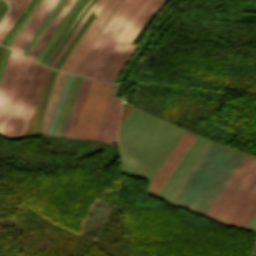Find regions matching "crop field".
Returning <instances> with one entry per match:
<instances>
[{
    "label": "crop field",
    "mask_w": 256,
    "mask_h": 256,
    "mask_svg": "<svg viewBox=\"0 0 256 256\" xmlns=\"http://www.w3.org/2000/svg\"><path fill=\"white\" fill-rule=\"evenodd\" d=\"M182 133L183 130L132 108L121 123V172L150 180Z\"/></svg>",
    "instance_id": "crop-field-1"
},
{
    "label": "crop field",
    "mask_w": 256,
    "mask_h": 256,
    "mask_svg": "<svg viewBox=\"0 0 256 256\" xmlns=\"http://www.w3.org/2000/svg\"><path fill=\"white\" fill-rule=\"evenodd\" d=\"M83 1H84V0H83ZM81 4H82V3H81ZM81 4H80V5H81ZM69 20H70V19H69ZM68 22H69V21H68ZM68 22H67V23H68ZM67 23H66V25H67ZM66 25H65V26H66ZM65 26H64V28H65ZM64 28L62 29V31L64 30ZM62 31L60 32V34L62 33ZM60 34L58 35V37L60 36ZM58 37H57V38H58ZM57 38H56V40H57ZM56 40H55V41H56ZM55 41L53 42V44L55 43ZM53 44H52V45H53ZM52 45H51V47H52ZM51 47H50V48H51ZM50 48H49V50H50ZM49 50H48V51H49ZM48 51H47V53H48ZM47 53H46V54H47ZM46 54H45V56H46ZM45 56H44V57H45ZM44 57H43V59H44ZM43 59H42V60H43ZM42 60H41V61H42ZM40 63H41V62H40Z\"/></svg>",
    "instance_id": "crop-field-32"
},
{
    "label": "crop field",
    "mask_w": 256,
    "mask_h": 256,
    "mask_svg": "<svg viewBox=\"0 0 256 256\" xmlns=\"http://www.w3.org/2000/svg\"><path fill=\"white\" fill-rule=\"evenodd\" d=\"M112 85L93 80L73 137L93 139Z\"/></svg>",
    "instance_id": "crop-field-5"
},
{
    "label": "crop field",
    "mask_w": 256,
    "mask_h": 256,
    "mask_svg": "<svg viewBox=\"0 0 256 256\" xmlns=\"http://www.w3.org/2000/svg\"><path fill=\"white\" fill-rule=\"evenodd\" d=\"M160 2V0H150V2L135 19L134 23L130 26L127 33L115 47L113 52L110 54L102 68L95 76L96 78L111 82L132 50L135 48V46L129 45V43L132 41L144 21L149 17V15L154 11Z\"/></svg>",
    "instance_id": "crop-field-7"
},
{
    "label": "crop field",
    "mask_w": 256,
    "mask_h": 256,
    "mask_svg": "<svg viewBox=\"0 0 256 256\" xmlns=\"http://www.w3.org/2000/svg\"><path fill=\"white\" fill-rule=\"evenodd\" d=\"M30 0H17L0 23V41L9 31Z\"/></svg>",
    "instance_id": "crop-field-17"
},
{
    "label": "crop field",
    "mask_w": 256,
    "mask_h": 256,
    "mask_svg": "<svg viewBox=\"0 0 256 256\" xmlns=\"http://www.w3.org/2000/svg\"><path fill=\"white\" fill-rule=\"evenodd\" d=\"M2 1H3V0L0 1V4L2 3ZM3 4H4V1H3V3L1 4V6H2ZM5 4H6V2H5ZM5 4L2 6V8L5 6ZM1 6H0V8H1ZM6 7H7V5L3 8V10H2V8L0 9V11L2 10V11L0 12V16H1L2 13L4 12V10L6 9Z\"/></svg>",
    "instance_id": "crop-field-31"
},
{
    "label": "crop field",
    "mask_w": 256,
    "mask_h": 256,
    "mask_svg": "<svg viewBox=\"0 0 256 256\" xmlns=\"http://www.w3.org/2000/svg\"><path fill=\"white\" fill-rule=\"evenodd\" d=\"M61 0H57V2L55 3V5L52 7V9L50 10V12L48 13V15L45 17V19L43 20V22L41 23V25L38 27V29L36 30V32L34 33V35L31 37V39L29 40V42L27 43V45L24 47V49L22 50L21 54H23V52L26 50V48L28 47V45L31 43V41L34 39V37L36 36V34L39 32V30L41 29V27L44 25V23L46 22V20L49 18V16L51 15V13L54 11V9L56 8V6L59 4Z\"/></svg>",
    "instance_id": "crop-field-26"
},
{
    "label": "crop field",
    "mask_w": 256,
    "mask_h": 256,
    "mask_svg": "<svg viewBox=\"0 0 256 256\" xmlns=\"http://www.w3.org/2000/svg\"><path fill=\"white\" fill-rule=\"evenodd\" d=\"M108 0H97L95 2V4L91 7V9L88 11V13L84 16V18L81 20V22L78 24L75 32L73 33V35L70 37V39L67 41V43L64 45V47L62 48L60 54L58 55V57L55 59V61L52 63L51 68H53V66L55 65V63L57 62V60L60 58V56L62 55V53L64 52V50L66 49V47L69 45V43L71 42L72 38L74 37V35L76 34L77 30L79 29V27L82 25V23L85 21V19L88 17V15L91 13L92 9L95 10L96 12V16L97 14L100 12V10L102 9V7L105 5V3Z\"/></svg>",
    "instance_id": "crop-field-20"
},
{
    "label": "crop field",
    "mask_w": 256,
    "mask_h": 256,
    "mask_svg": "<svg viewBox=\"0 0 256 256\" xmlns=\"http://www.w3.org/2000/svg\"><path fill=\"white\" fill-rule=\"evenodd\" d=\"M123 1L124 0H109L106 3L76 47L60 67V70L73 73Z\"/></svg>",
    "instance_id": "crop-field-8"
},
{
    "label": "crop field",
    "mask_w": 256,
    "mask_h": 256,
    "mask_svg": "<svg viewBox=\"0 0 256 256\" xmlns=\"http://www.w3.org/2000/svg\"><path fill=\"white\" fill-rule=\"evenodd\" d=\"M245 157L212 143L172 203L205 216Z\"/></svg>",
    "instance_id": "crop-field-2"
},
{
    "label": "crop field",
    "mask_w": 256,
    "mask_h": 256,
    "mask_svg": "<svg viewBox=\"0 0 256 256\" xmlns=\"http://www.w3.org/2000/svg\"><path fill=\"white\" fill-rule=\"evenodd\" d=\"M195 138L196 135L184 131L182 136L179 138L175 146L172 148L168 156L165 158L161 166L150 180L148 190L149 195L156 197Z\"/></svg>",
    "instance_id": "crop-field-10"
},
{
    "label": "crop field",
    "mask_w": 256,
    "mask_h": 256,
    "mask_svg": "<svg viewBox=\"0 0 256 256\" xmlns=\"http://www.w3.org/2000/svg\"><path fill=\"white\" fill-rule=\"evenodd\" d=\"M29 60L11 52L0 80V135L3 134Z\"/></svg>",
    "instance_id": "crop-field-6"
},
{
    "label": "crop field",
    "mask_w": 256,
    "mask_h": 256,
    "mask_svg": "<svg viewBox=\"0 0 256 256\" xmlns=\"http://www.w3.org/2000/svg\"><path fill=\"white\" fill-rule=\"evenodd\" d=\"M78 1V0H77ZM75 5V4H74ZM73 8V7H72ZM71 8V9H72ZM71 11V10H70ZM70 11L67 13V15L64 17V19L61 21V23H60V25L58 26V29H59V27L61 26V24L63 23V21L66 19V17L68 16V14L70 13Z\"/></svg>",
    "instance_id": "crop-field-33"
},
{
    "label": "crop field",
    "mask_w": 256,
    "mask_h": 256,
    "mask_svg": "<svg viewBox=\"0 0 256 256\" xmlns=\"http://www.w3.org/2000/svg\"><path fill=\"white\" fill-rule=\"evenodd\" d=\"M256 183V159L247 155L206 217L228 224Z\"/></svg>",
    "instance_id": "crop-field-4"
},
{
    "label": "crop field",
    "mask_w": 256,
    "mask_h": 256,
    "mask_svg": "<svg viewBox=\"0 0 256 256\" xmlns=\"http://www.w3.org/2000/svg\"><path fill=\"white\" fill-rule=\"evenodd\" d=\"M47 73L48 69L32 62L29 63L7 123L4 137L14 139L25 135Z\"/></svg>",
    "instance_id": "crop-field-3"
},
{
    "label": "crop field",
    "mask_w": 256,
    "mask_h": 256,
    "mask_svg": "<svg viewBox=\"0 0 256 256\" xmlns=\"http://www.w3.org/2000/svg\"><path fill=\"white\" fill-rule=\"evenodd\" d=\"M51 0H43L42 3L40 4V6L38 7V9L35 11V13L33 14V16L30 18V20L28 21V23L26 24V26L23 28V30L21 31V33L18 35V37L16 38V40L14 41V43L11 45L10 48H12L13 50L16 51V49L19 47V45L21 44V42L23 41V39L26 37V35L28 34V32L31 30V28L33 27V25L36 23V21L38 20V18L40 17V15L43 13V11L45 10V8L48 6V4L50 3Z\"/></svg>",
    "instance_id": "crop-field-18"
},
{
    "label": "crop field",
    "mask_w": 256,
    "mask_h": 256,
    "mask_svg": "<svg viewBox=\"0 0 256 256\" xmlns=\"http://www.w3.org/2000/svg\"><path fill=\"white\" fill-rule=\"evenodd\" d=\"M51 71H52V70H51ZM49 72H50V71H49ZM57 72H58V71H56V73H55L53 82H54V80H55V77H56ZM50 73H51V72H50ZM53 73H54V70L52 71V73H51V75H50V78H49V80H48V82H47V85H46L45 92H44V95H43V98H42V102H41V106H40L39 112L37 111V112H38V116H37V114H36V116H37V127H36V117H35L29 135L26 133L28 136L35 135V127H36V135H37V130H38V118H39V116H40V112H41L43 100H44V97H45V94H46V91H47V87H48L49 81H50V79H51ZM48 74H49V73H48ZM47 77H48V76H47ZM46 80H47V79H46ZM45 82H46V81H45ZM51 82H52V81H51ZM53 82H52V85H53ZM44 85H45V84H44ZM50 85H51V84H50ZM52 85H51V87H52ZM43 88H44V87H43ZM49 88H50V87H49ZM50 90H51V88H50ZM42 91H43V89H42ZM49 92H50V91H49ZM41 94H42V92H41ZM48 95H49V94H48ZM40 97H41V95H40ZM40 97H39V100H40ZM45 98H46V97H45ZM47 98H48V96H47ZM39 100H38V102H39ZM46 100H47V99H46ZM44 101H45V100H44ZM45 104H46V102H45ZM37 105H38V103H37ZM36 108H37V106H36ZM44 108H45V106H44ZM35 111H36V109H35ZM35 111H34V114H35ZM43 113H44V109H43ZM43 113H42V116H41L40 135H41V127H42V117H43ZM34 114H33V117H34ZM33 117H32V119H33ZM31 122H32V120H31ZM31 122H30V124H31ZM29 127H30V125H29ZM28 129H29V128H28ZM27 132H28V131H27ZM25 137H26V136H25Z\"/></svg>",
    "instance_id": "crop-field-21"
},
{
    "label": "crop field",
    "mask_w": 256,
    "mask_h": 256,
    "mask_svg": "<svg viewBox=\"0 0 256 256\" xmlns=\"http://www.w3.org/2000/svg\"><path fill=\"white\" fill-rule=\"evenodd\" d=\"M56 2V0H52V2L49 4V6L47 7V9L44 11V13L42 14V16L40 17V19L37 21V23L35 24V26L32 28V30L30 31V33L28 34V36L25 38V40L23 41V43L21 44V46L18 48L17 52L20 53V51L23 49V47L25 46V44L27 43V41L30 39V37L32 36V34L34 33V31L37 29V27L39 26V24L41 23V21L44 19V17L46 16V14L49 12V10L51 9V7L53 6V4Z\"/></svg>",
    "instance_id": "crop-field-24"
},
{
    "label": "crop field",
    "mask_w": 256,
    "mask_h": 256,
    "mask_svg": "<svg viewBox=\"0 0 256 256\" xmlns=\"http://www.w3.org/2000/svg\"><path fill=\"white\" fill-rule=\"evenodd\" d=\"M93 14H94V12H93ZM93 14H92V15H93ZM94 16H95V14L92 16V18L90 17V18H91L90 21L88 20L89 23L91 22V20L93 19ZM88 19H89V18H88ZM86 22H87V21H86ZM84 23H85V22H84ZM87 23H88V22H87ZM89 23L87 24V26L89 25ZM85 24H86V23H85ZM85 24H84V25H85ZM82 26H83V25H82ZM82 26H81V27H82ZM85 26H86V25H85ZM87 26L85 27V29L87 28ZM83 27H84V26H83ZM83 27H82V28H83ZM80 29H81V28H80ZM80 29H79V30H80ZM83 29H84V28H83ZM85 29L83 30V32L85 31ZM79 30H78V31H79ZM81 30H82V29H81ZM81 30H80V31H81ZM80 31H79V32H80ZM81 32H82V31H81ZM81 32H80V33H81ZM83 32L81 33V35L83 34ZM77 33H78V32H77ZM78 34H79V33H78ZM78 34H77V35H78ZM79 35H80V34H79ZM79 35H78V36H79ZM81 35L79 36V38L81 37ZM75 36H76V35H75ZM76 37H77V36H76ZM76 37H75V38H76ZM77 38H78V37H77ZM77 38H76V39H77ZM79 38L77 39V41L79 40ZM73 39H74V38H73ZM74 40H75V39H74ZM74 40H73V41H74ZM73 41H72V42H73ZM75 41H76V40H75ZM75 41H74V42H75ZM77 41H76L75 43L73 42L74 45L71 43L73 46L70 44V45L72 46V48L75 46V44L77 43ZM70 45H69V47H70ZM69 47H68V48H69ZM68 48L66 49V51L68 50ZM70 48H71V47H70ZM70 48H69V49H70ZM72 48L70 49V51L72 50ZM66 51H65V52H66ZM68 51H69V50H68ZM68 51H67V52H68ZM70 51L68 52V54L70 53ZM65 52H64V54H65ZM67 52H66V54H67ZM64 54H63V55H64ZM66 54H65V55H66ZM68 54L66 55V57L68 56ZM63 55H62V57H63ZM65 55H64V57H65ZM62 57H61V58H62ZM64 57H63V58H64ZM66 57L64 58V60L66 59ZM61 58H60V60H61ZM63 58H62V60H63ZM60 60H59V61H60ZM62 60H61V61H62ZM64 60L62 61V63L64 62ZM58 63H59V62H58ZM58 63H57V65H58ZM60 63H61V62H60ZM60 63H59V64H60ZM62 63H61V64H62ZM61 64H60V66H61ZM57 65H56V66H57ZM56 66H55V68H56ZM58 66H59V65H58ZM58 66H57V67H58ZM60 66H59V67H60ZM59 67H58V69H59ZM56 69H57V68H56Z\"/></svg>",
    "instance_id": "crop-field-25"
},
{
    "label": "crop field",
    "mask_w": 256,
    "mask_h": 256,
    "mask_svg": "<svg viewBox=\"0 0 256 256\" xmlns=\"http://www.w3.org/2000/svg\"><path fill=\"white\" fill-rule=\"evenodd\" d=\"M111 94L94 139L115 144L117 143L118 122L122 102L120 98L111 96Z\"/></svg>",
    "instance_id": "crop-field-12"
},
{
    "label": "crop field",
    "mask_w": 256,
    "mask_h": 256,
    "mask_svg": "<svg viewBox=\"0 0 256 256\" xmlns=\"http://www.w3.org/2000/svg\"><path fill=\"white\" fill-rule=\"evenodd\" d=\"M149 0H136L134 5L131 7L129 12L126 14L124 19L121 21L119 26L116 28L112 36L109 38L107 43L104 45L102 50L99 52L97 57L94 59L92 64L89 66L87 71L84 73V76L94 77L99 68L102 66L104 61L107 59L109 54L112 52L116 44L122 38L124 33L127 31L128 27L132 24L134 19L143 9V7L148 3Z\"/></svg>",
    "instance_id": "crop-field-11"
},
{
    "label": "crop field",
    "mask_w": 256,
    "mask_h": 256,
    "mask_svg": "<svg viewBox=\"0 0 256 256\" xmlns=\"http://www.w3.org/2000/svg\"><path fill=\"white\" fill-rule=\"evenodd\" d=\"M91 81H92L91 79H88V78H85V77L83 78V81L81 83L79 92L77 94L76 100L74 102L72 111L70 113L68 122L66 124L65 130H64L62 136L71 138L72 133H73L74 128H75V125H76V122L78 120L80 111L82 109L85 97L87 95L89 86L91 84Z\"/></svg>",
    "instance_id": "crop-field-15"
},
{
    "label": "crop field",
    "mask_w": 256,
    "mask_h": 256,
    "mask_svg": "<svg viewBox=\"0 0 256 256\" xmlns=\"http://www.w3.org/2000/svg\"><path fill=\"white\" fill-rule=\"evenodd\" d=\"M65 72H58V75L56 77L55 83L53 85L52 91L50 93L49 99L47 101L44 117H43V129H42V135L46 133L47 127L49 125L52 113L54 111L58 96L60 94L63 82L66 77Z\"/></svg>",
    "instance_id": "crop-field-16"
},
{
    "label": "crop field",
    "mask_w": 256,
    "mask_h": 256,
    "mask_svg": "<svg viewBox=\"0 0 256 256\" xmlns=\"http://www.w3.org/2000/svg\"><path fill=\"white\" fill-rule=\"evenodd\" d=\"M96 0H92L88 6L85 8V10L81 13V15L78 17L75 25L73 26V28L71 29V31L68 33V35L66 36V38L64 39V41L62 42V44L60 45V47L57 49V51L55 52V54L53 55V57L50 59V61L47 63V66L50 67L51 63L53 62V60L56 58V56L59 54L61 48L63 47V45L66 43V41L68 40V38L71 36V34L74 32L77 24L80 22V20L83 18V16L86 14V12L90 9V7L94 4Z\"/></svg>",
    "instance_id": "crop-field-22"
},
{
    "label": "crop field",
    "mask_w": 256,
    "mask_h": 256,
    "mask_svg": "<svg viewBox=\"0 0 256 256\" xmlns=\"http://www.w3.org/2000/svg\"><path fill=\"white\" fill-rule=\"evenodd\" d=\"M255 199H256V185L254 186L250 194L247 196L243 204L240 206V208L238 209L234 217L231 219V221L229 222V225H233L237 227V225L239 224L241 219L244 217V215L246 214V212L248 211V209L250 208V206L252 205Z\"/></svg>",
    "instance_id": "crop-field-19"
},
{
    "label": "crop field",
    "mask_w": 256,
    "mask_h": 256,
    "mask_svg": "<svg viewBox=\"0 0 256 256\" xmlns=\"http://www.w3.org/2000/svg\"><path fill=\"white\" fill-rule=\"evenodd\" d=\"M246 229L256 231V213L254 214V216L252 217V219L250 220V222L246 226Z\"/></svg>",
    "instance_id": "crop-field-28"
},
{
    "label": "crop field",
    "mask_w": 256,
    "mask_h": 256,
    "mask_svg": "<svg viewBox=\"0 0 256 256\" xmlns=\"http://www.w3.org/2000/svg\"><path fill=\"white\" fill-rule=\"evenodd\" d=\"M68 75H69V74H67V77H68ZM71 76H72V75L70 74V75H69V77H68V80H67V77H66L67 83H66V80H65V82H64V85H65V83H66L65 88H64V85H63L64 91H63V88H62L63 93H62V91H61V93H62V96H61V94H60L61 99H60V96H59L60 101H59V99H58V101H59V104H58V102H57L58 107H57V105H56L57 109L55 108V109H56V112L54 111V112H55V115H54V113H53L54 117L52 116V117H53V120L51 119V120H52V123L50 122V123H51L50 128L48 127V128H49V131L47 130V131H48V133H47V134H49V135L51 134L52 128H53V126H54V123H55V120H56L57 114H58V112H59V109H60V106H61L62 100H63V98H64V95H65V92H66V89H67V86H68V84H69V81H70ZM74 76H75V75H73V77H74ZM73 77H72V79H71V81H70V84H69V87H68L67 93H66V95H65V98H64L63 104H62V106H61V109H60L59 115H58V117H57V120H56V123H55L54 129H53V131H52V134H51V135H53V134H54V131H55V129H56V126H57V123H58L59 117H60V115H61V112H62L63 106H64V104H65V101H66L67 95H68V93H69V90H70V87H71L72 81H73V79H74ZM76 77H77V76H75L74 82H75V80H76ZM79 78H80V77L78 76V77H77V80H76V82H75V85H74V82H73V84H72L71 90H72V88H73V85H74V88H73L72 93H71V90H70L71 96H70V93H69V95H68L67 101H68V99H69V96H70V99H69V101H68V104H67V101H66L67 107H66V104H65V106H64L63 112H64V110H65V107H66V110H65V112H64V115H63V112H62L63 118H62V115H61L62 121H61V123H60V120H61V118H60V120H59L60 126H59V123H58L59 129H58V126H57L58 131H57V129H56L57 134H56V131H55V134H56L57 136L59 135V132H60V130H61V127H62L63 121H64L65 116H66V113H67V111H68V108H69L70 102H71V100H72V97H73L74 91H75V89H76L77 83H78V81H79ZM82 78H83V77H81V78H80V81H79V83H78V86H77L76 92H75V94H74L73 100H72V102H71V105H70L69 111H68V113H67V116H66L65 122H64V124H63L62 130H61V132H60V135H59V136H61V135H62V132H63V130H64V127H65L66 121H67L68 116H69V113H70V111H71V108H72L73 102H74V100H75V97H76L77 91H78V89H79L80 83H81V81H82ZM55 134H54V135H55Z\"/></svg>",
    "instance_id": "crop-field-14"
},
{
    "label": "crop field",
    "mask_w": 256,
    "mask_h": 256,
    "mask_svg": "<svg viewBox=\"0 0 256 256\" xmlns=\"http://www.w3.org/2000/svg\"><path fill=\"white\" fill-rule=\"evenodd\" d=\"M210 145L211 142L197 136L168 181L157 195V198L171 202Z\"/></svg>",
    "instance_id": "crop-field-9"
},
{
    "label": "crop field",
    "mask_w": 256,
    "mask_h": 256,
    "mask_svg": "<svg viewBox=\"0 0 256 256\" xmlns=\"http://www.w3.org/2000/svg\"><path fill=\"white\" fill-rule=\"evenodd\" d=\"M85 7H86V6H85ZM82 11H83V10H82ZM82 11H81V12H82ZM79 15H80V14H79ZM72 26H73V25H72ZM71 28H72V27H71ZM71 28H70V29H71ZM69 31H70V30H69ZM69 31H68V32H69ZM66 35H67V34H66ZM64 38H65V37H64ZM64 38H63V39H64ZM62 41H63V40H62ZM62 41H61V42H62ZM60 44H61V43H60ZM60 44H59V45H60ZM57 48H58V47H57ZM55 51H56V50H55ZM53 54H54V53H53ZM51 55H52V54H51ZM51 57H52V56H51ZM49 58H50V57H49ZM48 61H49V60H48Z\"/></svg>",
    "instance_id": "crop-field-34"
},
{
    "label": "crop field",
    "mask_w": 256,
    "mask_h": 256,
    "mask_svg": "<svg viewBox=\"0 0 256 256\" xmlns=\"http://www.w3.org/2000/svg\"><path fill=\"white\" fill-rule=\"evenodd\" d=\"M135 0H125L117 13L114 15L106 29L103 31L99 39L96 41V43L93 45L91 50L88 52V54L85 56V58L82 60L80 65L77 67V69L74 71L75 74L83 75V73L86 71L88 66L91 64L93 59L96 57L98 52L101 50L103 45L106 43L110 35L113 33L115 28L118 26L120 21L123 19L125 14L128 12L130 7L133 5Z\"/></svg>",
    "instance_id": "crop-field-13"
},
{
    "label": "crop field",
    "mask_w": 256,
    "mask_h": 256,
    "mask_svg": "<svg viewBox=\"0 0 256 256\" xmlns=\"http://www.w3.org/2000/svg\"><path fill=\"white\" fill-rule=\"evenodd\" d=\"M37 1H38V0H36V1L34 2L33 6L36 4ZM32 2H33V1H32ZM31 4H32V3H31ZM31 4H30V5H31ZM30 5H29V7H30ZM33 6L31 7V9L33 8ZM29 7H28V8H29ZM28 8H27V9H28ZM31 9H30V11H31ZM26 11H27V10H26ZM26 11H25V12H26ZM30 11H29V12H30ZM29 12H28V14H29ZM24 14H25V13H24ZM24 14H23V15H24ZM28 14H27V15H28ZM27 15L25 16V18L27 17ZM22 17H23V16H22ZM22 17H21V18H22ZM21 18H20V20H21ZM25 18L22 20V22L25 20ZM18 20H19V19H18ZM18 20H17V21H18ZM20 20H19V21H20ZM19 21H18V22H19ZM22 22L18 25V27L22 24ZM15 24H16V23H15ZM15 24H14V25H15ZM16 25H17V24H16ZM16 25H15V26H16ZM18 27H17V28L13 31V33L8 37V39L5 41L4 45H5L6 42L10 39V37L14 34V32L18 29ZM12 28H13V27H12ZM12 28H11V29H12ZM11 29H10V30H11ZM12 30H13V29H12ZM12 30H11V31H12ZM11 31H10V32H11ZM10 32H9V33H10ZM9 33H8V34H9ZM8 34H7V36H8ZM7 36H6V37H7ZM6 37H5V38H6ZM5 38H4V39H5ZM1 43H2V42H1Z\"/></svg>",
    "instance_id": "crop-field-27"
},
{
    "label": "crop field",
    "mask_w": 256,
    "mask_h": 256,
    "mask_svg": "<svg viewBox=\"0 0 256 256\" xmlns=\"http://www.w3.org/2000/svg\"><path fill=\"white\" fill-rule=\"evenodd\" d=\"M122 84H123V83H118V84L115 85V88H114V91H113V94H112V95H115V96L118 95Z\"/></svg>",
    "instance_id": "crop-field-30"
},
{
    "label": "crop field",
    "mask_w": 256,
    "mask_h": 256,
    "mask_svg": "<svg viewBox=\"0 0 256 256\" xmlns=\"http://www.w3.org/2000/svg\"><path fill=\"white\" fill-rule=\"evenodd\" d=\"M256 212V205L255 207L252 209V211L250 212V214L248 215V217L246 218V220L243 222V224L241 225L242 228H245V226L247 225V223L249 222V220L251 219V217L253 216V214Z\"/></svg>",
    "instance_id": "crop-field-29"
},
{
    "label": "crop field",
    "mask_w": 256,
    "mask_h": 256,
    "mask_svg": "<svg viewBox=\"0 0 256 256\" xmlns=\"http://www.w3.org/2000/svg\"><path fill=\"white\" fill-rule=\"evenodd\" d=\"M89 0H85L83 2V4L80 6V8L75 12V14L73 15L72 19L70 20V22L68 23V25L66 26L64 32L66 33L67 30L69 29V27L71 26V24L73 23V21L76 19V17L78 16V14L80 13V11L83 9V7L86 5V3ZM64 33H62V35L59 37V39L56 41V43L54 44V46L52 47V49L50 50V52L48 53V55L45 57V59L42 61V64L45 65V63L47 62V60L49 59V57L51 56V54L54 52V50L56 49V47L58 46V44L60 43V41L62 40V38L64 37Z\"/></svg>",
    "instance_id": "crop-field-23"
},
{
    "label": "crop field",
    "mask_w": 256,
    "mask_h": 256,
    "mask_svg": "<svg viewBox=\"0 0 256 256\" xmlns=\"http://www.w3.org/2000/svg\"><path fill=\"white\" fill-rule=\"evenodd\" d=\"M6 1H7V2L9 3V5H10V4L12 3V1H13V0H6Z\"/></svg>",
    "instance_id": "crop-field-35"
},
{
    "label": "crop field",
    "mask_w": 256,
    "mask_h": 256,
    "mask_svg": "<svg viewBox=\"0 0 256 256\" xmlns=\"http://www.w3.org/2000/svg\"><path fill=\"white\" fill-rule=\"evenodd\" d=\"M1 48H2V47H0V50H1ZM4 49H5V48H3V51H4ZM1 52H2V51H1ZM2 54H3V52H2ZM0 55H1V53H0ZM1 56H2V55H1ZM0 59H1V58H0Z\"/></svg>",
    "instance_id": "crop-field-36"
}]
</instances>
